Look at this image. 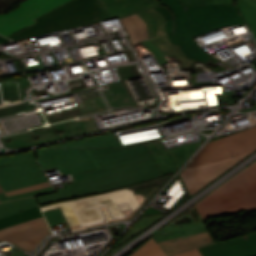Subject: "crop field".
<instances>
[{
  "instance_id": "obj_1",
  "label": "crop field",
  "mask_w": 256,
  "mask_h": 256,
  "mask_svg": "<svg viewBox=\"0 0 256 256\" xmlns=\"http://www.w3.org/2000/svg\"><path fill=\"white\" fill-rule=\"evenodd\" d=\"M49 149L54 158L64 157L75 180L64 184L71 199L162 176L146 144L126 149Z\"/></svg>"
},
{
  "instance_id": "obj_2",
  "label": "crop field",
  "mask_w": 256,
  "mask_h": 256,
  "mask_svg": "<svg viewBox=\"0 0 256 256\" xmlns=\"http://www.w3.org/2000/svg\"><path fill=\"white\" fill-rule=\"evenodd\" d=\"M154 7L166 19L171 43L180 46L186 57L203 61L211 56L195 43L193 37L214 29L246 24L234 5H203L183 8L179 0H159Z\"/></svg>"
},
{
  "instance_id": "obj_3",
  "label": "crop field",
  "mask_w": 256,
  "mask_h": 256,
  "mask_svg": "<svg viewBox=\"0 0 256 256\" xmlns=\"http://www.w3.org/2000/svg\"><path fill=\"white\" fill-rule=\"evenodd\" d=\"M196 207L203 220L256 210V163L216 189Z\"/></svg>"
},
{
  "instance_id": "obj_4",
  "label": "crop field",
  "mask_w": 256,
  "mask_h": 256,
  "mask_svg": "<svg viewBox=\"0 0 256 256\" xmlns=\"http://www.w3.org/2000/svg\"><path fill=\"white\" fill-rule=\"evenodd\" d=\"M108 19L106 11L98 0H72L36 19L39 23L8 37L18 41Z\"/></svg>"
},
{
  "instance_id": "obj_5",
  "label": "crop field",
  "mask_w": 256,
  "mask_h": 256,
  "mask_svg": "<svg viewBox=\"0 0 256 256\" xmlns=\"http://www.w3.org/2000/svg\"><path fill=\"white\" fill-rule=\"evenodd\" d=\"M256 150V126L207 143L188 166H198Z\"/></svg>"
},
{
  "instance_id": "obj_6",
  "label": "crop field",
  "mask_w": 256,
  "mask_h": 256,
  "mask_svg": "<svg viewBox=\"0 0 256 256\" xmlns=\"http://www.w3.org/2000/svg\"><path fill=\"white\" fill-rule=\"evenodd\" d=\"M70 0H25L21 7L3 15L0 14V34L11 35L37 23L34 19L63 5Z\"/></svg>"
},
{
  "instance_id": "obj_7",
  "label": "crop field",
  "mask_w": 256,
  "mask_h": 256,
  "mask_svg": "<svg viewBox=\"0 0 256 256\" xmlns=\"http://www.w3.org/2000/svg\"><path fill=\"white\" fill-rule=\"evenodd\" d=\"M51 234L44 217L0 230V241L7 240L32 251L45 235Z\"/></svg>"
},
{
  "instance_id": "obj_8",
  "label": "crop field",
  "mask_w": 256,
  "mask_h": 256,
  "mask_svg": "<svg viewBox=\"0 0 256 256\" xmlns=\"http://www.w3.org/2000/svg\"><path fill=\"white\" fill-rule=\"evenodd\" d=\"M47 180L37 161L0 167V185L5 191Z\"/></svg>"
},
{
  "instance_id": "obj_9",
  "label": "crop field",
  "mask_w": 256,
  "mask_h": 256,
  "mask_svg": "<svg viewBox=\"0 0 256 256\" xmlns=\"http://www.w3.org/2000/svg\"><path fill=\"white\" fill-rule=\"evenodd\" d=\"M99 2L107 11L110 19L139 14L148 25L149 37L155 35L156 21L145 10L161 5L157 0H99Z\"/></svg>"
},
{
  "instance_id": "obj_10",
  "label": "crop field",
  "mask_w": 256,
  "mask_h": 256,
  "mask_svg": "<svg viewBox=\"0 0 256 256\" xmlns=\"http://www.w3.org/2000/svg\"><path fill=\"white\" fill-rule=\"evenodd\" d=\"M249 154L250 153L203 166L187 168L180 175L191 195Z\"/></svg>"
},
{
  "instance_id": "obj_11",
  "label": "crop field",
  "mask_w": 256,
  "mask_h": 256,
  "mask_svg": "<svg viewBox=\"0 0 256 256\" xmlns=\"http://www.w3.org/2000/svg\"><path fill=\"white\" fill-rule=\"evenodd\" d=\"M199 248L203 256H256V232ZM228 242V244H226Z\"/></svg>"
},
{
  "instance_id": "obj_12",
  "label": "crop field",
  "mask_w": 256,
  "mask_h": 256,
  "mask_svg": "<svg viewBox=\"0 0 256 256\" xmlns=\"http://www.w3.org/2000/svg\"><path fill=\"white\" fill-rule=\"evenodd\" d=\"M157 20V33L156 36L149 38V40L169 59L179 58L182 60L184 67H192L196 60L188 59L185 57L179 46L170 44L165 31V19L153 8L147 10Z\"/></svg>"
},
{
  "instance_id": "obj_13",
  "label": "crop field",
  "mask_w": 256,
  "mask_h": 256,
  "mask_svg": "<svg viewBox=\"0 0 256 256\" xmlns=\"http://www.w3.org/2000/svg\"><path fill=\"white\" fill-rule=\"evenodd\" d=\"M216 243L210 231L174 240L159 242L167 256L176 255L202 246Z\"/></svg>"
},
{
  "instance_id": "obj_14",
  "label": "crop field",
  "mask_w": 256,
  "mask_h": 256,
  "mask_svg": "<svg viewBox=\"0 0 256 256\" xmlns=\"http://www.w3.org/2000/svg\"><path fill=\"white\" fill-rule=\"evenodd\" d=\"M163 231H165V234H163ZM208 231V228L205 224V221L196 222L192 225H186V226H180V227H165L163 230L157 232L153 235V239L156 242L173 239V238H179L183 235H192L200 232Z\"/></svg>"
},
{
  "instance_id": "obj_15",
  "label": "crop field",
  "mask_w": 256,
  "mask_h": 256,
  "mask_svg": "<svg viewBox=\"0 0 256 256\" xmlns=\"http://www.w3.org/2000/svg\"><path fill=\"white\" fill-rule=\"evenodd\" d=\"M50 147H121L114 133L83 138Z\"/></svg>"
},
{
  "instance_id": "obj_16",
  "label": "crop field",
  "mask_w": 256,
  "mask_h": 256,
  "mask_svg": "<svg viewBox=\"0 0 256 256\" xmlns=\"http://www.w3.org/2000/svg\"><path fill=\"white\" fill-rule=\"evenodd\" d=\"M121 21L131 39L132 44L148 38L147 26L139 15L135 14L121 18Z\"/></svg>"
},
{
  "instance_id": "obj_17",
  "label": "crop field",
  "mask_w": 256,
  "mask_h": 256,
  "mask_svg": "<svg viewBox=\"0 0 256 256\" xmlns=\"http://www.w3.org/2000/svg\"><path fill=\"white\" fill-rule=\"evenodd\" d=\"M203 142L204 141L167 149V152L177 170Z\"/></svg>"
},
{
  "instance_id": "obj_18",
  "label": "crop field",
  "mask_w": 256,
  "mask_h": 256,
  "mask_svg": "<svg viewBox=\"0 0 256 256\" xmlns=\"http://www.w3.org/2000/svg\"><path fill=\"white\" fill-rule=\"evenodd\" d=\"M34 197L17 199L0 204V218L13 214L17 211L37 206Z\"/></svg>"
},
{
  "instance_id": "obj_19",
  "label": "crop field",
  "mask_w": 256,
  "mask_h": 256,
  "mask_svg": "<svg viewBox=\"0 0 256 256\" xmlns=\"http://www.w3.org/2000/svg\"><path fill=\"white\" fill-rule=\"evenodd\" d=\"M42 216L43 215L39 207L24 210L22 212H18L16 214L0 219V229Z\"/></svg>"
},
{
  "instance_id": "obj_20",
  "label": "crop field",
  "mask_w": 256,
  "mask_h": 256,
  "mask_svg": "<svg viewBox=\"0 0 256 256\" xmlns=\"http://www.w3.org/2000/svg\"><path fill=\"white\" fill-rule=\"evenodd\" d=\"M147 146L161 171L174 168L161 141L148 143Z\"/></svg>"
},
{
  "instance_id": "obj_21",
  "label": "crop field",
  "mask_w": 256,
  "mask_h": 256,
  "mask_svg": "<svg viewBox=\"0 0 256 256\" xmlns=\"http://www.w3.org/2000/svg\"><path fill=\"white\" fill-rule=\"evenodd\" d=\"M238 5L256 40V1L239 0Z\"/></svg>"
},
{
  "instance_id": "obj_22",
  "label": "crop field",
  "mask_w": 256,
  "mask_h": 256,
  "mask_svg": "<svg viewBox=\"0 0 256 256\" xmlns=\"http://www.w3.org/2000/svg\"><path fill=\"white\" fill-rule=\"evenodd\" d=\"M131 256H166L158 244L151 238Z\"/></svg>"
},
{
  "instance_id": "obj_23",
  "label": "crop field",
  "mask_w": 256,
  "mask_h": 256,
  "mask_svg": "<svg viewBox=\"0 0 256 256\" xmlns=\"http://www.w3.org/2000/svg\"><path fill=\"white\" fill-rule=\"evenodd\" d=\"M160 216H162V215L155 216V217H142L141 220L134 223V225L126 232V234L123 235L122 240L117 245H119L122 242L133 237L135 234H137L139 231H141L144 227H146L149 223H151L153 220L159 218Z\"/></svg>"
},
{
  "instance_id": "obj_24",
  "label": "crop field",
  "mask_w": 256,
  "mask_h": 256,
  "mask_svg": "<svg viewBox=\"0 0 256 256\" xmlns=\"http://www.w3.org/2000/svg\"><path fill=\"white\" fill-rule=\"evenodd\" d=\"M56 192L57 193L36 196L39 205L70 199L65 188L58 189Z\"/></svg>"
},
{
  "instance_id": "obj_25",
  "label": "crop field",
  "mask_w": 256,
  "mask_h": 256,
  "mask_svg": "<svg viewBox=\"0 0 256 256\" xmlns=\"http://www.w3.org/2000/svg\"><path fill=\"white\" fill-rule=\"evenodd\" d=\"M36 160L32 151L0 158V166Z\"/></svg>"
},
{
  "instance_id": "obj_26",
  "label": "crop field",
  "mask_w": 256,
  "mask_h": 256,
  "mask_svg": "<svg viewBox=\"0 0 256 256\" xmlns=\"http://www.w3.org/2000/svg\"><path fill=\"white\" fill-rule=\"evenodd\" d=\"M38 162L43 170L56 167L55 162L47 147L37 150Z\"/></svg>"
},
{
  "instance_id": "obj_27",
  "label": "crop field",
  "mask_w": 256,
  "mask_h": 256,
  "mask_svg": "<svg viewBox=\"0 0 256 256\" xmlns=\"http://www.w3.org/2000/svg\"><path fill=\"white\" fill-rule=\"evenodd\" d=\"M53 191H54V189L52 187H49V188L38 189V190H34V191H30V192H26V193H22V194H18V195L9 196V197H6L4 195V193H1L0 194V202L11 200V199H16V198L44 194V193L53 192Z\"/></svg>"
},
{
  "instance_id": "obj_28",
  "label": "crop field",
  "mask_w": 256,
  "mask_h": 256,
  "mask_svg": "<svg viewBox=\"0 0 256 256\" xmlns=\"http://www.w3.org/2000/svg\"><path fill=\"white\" fill-rule=\"evenodd\" d=\"M44 216L46 217L47 221L49 222L50 226L57 224L59 222H65V218L61 213L60 209L45 211L43 212Z\"/></svg>"
},
{
  "instance_id": "obj_29",
  "label": "crop field",
  "mask_w": 256,
  "mask_h": 256,
  "mask_svg": "<svg viewBox=\"0 0 256 256\" xmlns=\"http://www.w3.org/2000/svg\"><path fill=\"white\" fill-rule=\"evenodd\" d=\"M142 43L157 58V60L160 62L161 65L168 63V61L165 59L162 53L149 40H146Z\"/></svg>"
},
{
  "instance_id": "obj_30",
  "label": "crop field",
  "mask_w": 256,
  "mask_h": 256,
  "mask_svg": "<svg viewBox=\"0 0 256 256\" xmlns=\"http://www.w3.org/2000/svg\"><path fill=\"white\" fill-rule=\"evenodd\" d=\"M49 186H51V185H50L49 181H47V182L39 183L36 185L8 191V192H5V194H6V196H9V195L18 194V193H22V192H26V191H30V190H34V189H38V188L49 187Z\"/></svg>"
},
{
  "instance_id": "obj_31",
  "label": "crop field",
  "mask_w": 256,
  "mask_h": 256,
  "mask_svg": "<svg viewBox=\"0 0 256 256\" xmlns=\"http://www.w3.org/2000/svg\"><path fill=\"white\" fill-rule=\"evenodd\" d=\"M61 174L70 173L63 158L54 159Z\"/></svg>"
},
{
  "instance_id": "obj_32",
  "label": "crop field",
  "mask_w": 256,
  "mask_h": 256,
  "mask_svg": "<svg viewBox=\"0 0 256 256\" xmlns=\"http://www.w3.org/2000/svg\"><path fill=\"white\" fill-rule=\"evenodd\" d=\"M205 0H180L183 7L185 6H196V5H203Z\"/></svg>"
},
{
  "instance_id": "obj_33",
  "label": "crop field",
  "mask_w": 256,
  "mask_h": 256,
  "mask_svg": "<svg viewBox=\"0 0 256 256\" xmlns=\"http://www.w3.org/2000/svg\"><path fill=\"white\" fill-rule=\"evenodd\" d=\"M205 4H232V0H206Z\"/></svg>"
},
{
  "instance_id": "obj_34",
  "label": "crop field",
  "mask_w": 256,
  "mask_h": 256,
  "mask_svg": "<svg viewBox=\"0 0 256 256\" xmlns=\"http://www.w3.org/2000/svg\"><path fill=\"white\" fill-rule=\"evenodd\" d=\"M176 256H202V255L200 254L198 249H196V250L189 251V252L179 254V255H176Z\"/></svg>"
},
{
  "instance_id": "obj_35",
  "label": "crop field",
  "mask_w": 256,
  "mask_h": 256,
  "mask_svg": "<svg viewBox=\"0 0 256 256\" xmlns=\"http://www.w3.org/2000/svg\"><path fill=\"white\" fill-rule=\"evenodd\" d=\"M232 96H237V95H228V96H223V94L217 95L219 102L233 100Z\"/></svg>"
},
{
  "instance_id": "obj_36",
  "label": "crop field",
  "mask_w": 256,
  "mask_h": 256,
  "mask_svg": "<svg viewBox=\"0 0 256 256\" xmlns=\"http://www.w3.org/2000/svg\"><path fill=\"white\" fill-rule=\"evenodd\" d=\"M175 171H176V168L170 169V170H166V171H162L161 173H162L163 176H165V175H167L166 173H170V172L175 173Z\"/></svg>"
},
{
  "instance_id": "obj_37",
  "label": "crop field",
  "mask_w": 256,
  "mask_h": 256,
  "mask_svg": "<svg viewBox=\"0 0 256 256\" xmlns=\"http://www.w3.org/2000/svg\"><path fill=\"white\" fill-rule=\"evenodd\" d=\"M8 41H10V40L0 36V43H4V42H8Z\"/></svg>"
},
{
  "instance_id": "obj_38",
  "label": "crop field",
  "mask_w": 256,
  "mask_h": 256,
  "mask_svg": "<svg viewBox=\"0 0 256 256\" xmlns=\"http://www.w3.org/2000/svg\"><path fill=\"white\" fill-rule=\"evenodd\" d=\"M254 109H256V107H254V108H249V109H245V110H241V111L247 112V111L254 110Z\"/></svg>"
},
{
  "instance_id": "obj_39",
  "label": "crop field",
  "mask_w": 256,
  "mask_h": 256,
  "mask_svg": "<svg viewBox=\"0 0 256 256\" xmlns=\"http://www.w3.org/2000/svg\"><path fill=\"white\" fill-rule=\"evenodd\" d=\"M1 192H4V190H3V188L0 186V193H1Z\"/></svg>"
}]
</instances>
